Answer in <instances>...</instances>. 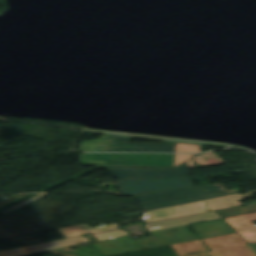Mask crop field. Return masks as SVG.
I'll return each instance as SVG.
<instances>
[{
	"label": "crop field",
	"instance_id": "crop-field-12",
	"mask_svg": "<svg viewBox=\"0 0 256 256\" xmlns=\"http://www.w3.org/2000/svg\"><path fill=\"white\" fill-rule=\"evenodd\" d=\"M198 145H184L178 144L176 152H199Z\"/></svg>",
	"mask_w": 256,
	"mask_h": 256
},
{
	"label": "crop field",
	"instance_id": "crop-field-11",
	"mask_svg": "<svg viewBox=\"0 0 256 256\" xmlns=\"http://www.w3.org/2000/svg\"><path fill=\"white\" fill-rule=\"evenodd\" d=\"M46 195H47V194H38V195H36V196H34V197H32V198L26 200V201H23V202H21V203L15 205V206H13V207H10V208H8V209H6V210L0 212V214H2V215L9 214V213H11V212H13V211H15V210H17V209H19V208H21V207L27 205V204H30V203H32V202H34V201H36V200H38V199H40V198L46 196Z\"/></svg>",
	"mask_w": 256,
	"mask_h": 256
},
{
	"label": "crop field",
	"instance_id": "crop-field-14",
	"mask_svg": "<svg viewBox=\"0 0 256 256\" xmlns=\"http://www.w3.org/2000/svg\"><path fill=\"white\" fill-rule=\"evenodd\" d=\"M24 196H26V195H16V196H13V197H11V198H8V199H6V200L0 202V207H1V206H4V205H7V204H9V203H11V202H13V201H15V200L21 198V197H24Z\"/></svg>",
	"mask_w": 256,
	"mask_h": 256
},
{
	"label": "crop field",
	"instance_id": "crop-field-5",
	"mask_svg": "<svg viewBox=\"0 0 256 256\" xmlns=\"http://www.w3.org/2000/svg\"><path fill=\"white\" fill-rule=\"evenodd\" d=\"M109 172L118 180L190 177L186 164L175 169L111 168Z\"/></svg>",
	"mask_w": 256,
	"mask_h": 256
},
{
	"label": "crop field",
	"instance_id": "crop-field-3",
	"mask_svg": "<svg viewBox=\"0 0 256 256\" xmlns=\"http://www.w3.org/2000/svg\"><path fill=\"white\" fill-rule=\"evenodd\" d=\"M80 160L82 165L174 167L175 155L91 153Z\"/></svg>",
	"mask_w": 256,
	"mask_h": 256
},
{
	"label": "crop field",
	"instance_id": "crop-field-6",
	"mask_svg": "<svg viewBox=\"0 0 256 256\" xmlns=\"http://www.w3.org/2000/svg\"><path fill=\"white\" fill-rule=\"evenodd\" d=\"M124 195L193 185L190 178L118 181Z\"/></svg>",
	"mask_w": 256,
	"mask_h": 256
},
{
	"label": "crop field",
	"instance_id": "crop-field-2",
	"mask_svg": "<svg viewBox=\"0 0 256 256\" xmlns=\"http://www.w3.org/2000/svg\"><path fill=\"white\" fill-rule=\"evenodd\" d=\"M150 235L149 238L137 241L128 237L122 239L125 243L118 239L97 243L96 245L105 256H110L194 240L186 226L151 232Z\"/></svg>",
	"mask_w": 256,
	"mask_h": 256
},
{
	"label": "crop field",
	"instance_id": "crop-field-7",
	"mask_svg": "<svg viewBox=\"0 0 256 256\" xmlns=\"http://www.w3.org/2000/svg\"><path fill=\"white\" fill-rule=\"evenodd\" d=\"M206 206L204 200L193 202L185 205H180L176 207L171 208H165L155 211H149L146 213V216L144 218L145 223L154 222L158 220L173 218V217H179L194 213H200L205 212Z\"/></svg>",
	"mask_w": 256,
	"mask_h": 256
},
{
	"label": "crop field",
	"instance_id": "crop-field-16",
	"mask_svg": "<svg viewBox=\"0 0 256 256\" xmlns=\"http://www.w3.org/2000/svg\"><path fill=\"white\" fill-rule=\"evenodd\" d=\"M252 246L256 249V244H253Z\"/></svg>",
	"mask_w": 256,
	"mask_h": 256
},
{
	"label": "crop field",
	"instance_id": "crop-field-10",
	"mask_svg": "<svg viewBox=\"0 0 256 256\" xmlns=\"http://www.w3.org/2000/svg\"><path fill=\"white\" fill-rule=\"evenodd\" d=\"M116 228H120V227L117 224H114V225L91 229L88 224H84V225H77V226L60 229V231L66 238H69V237H74L78 235H83L84 233H94V232L105 231V230L116 229Z\"/></svg>",
	"mask_w": 256,
	"mask_h": 256
},
{
	"label": "crop field",
	"instance_id": "crop-field-9",
	"mask_svg": "<svg viewBox=\"0 0 256 256\" xmlns=\"http://www.w3.org/2000/svg\"><path fill=\"white\" fill-rule=\"evenodd\" d=\"M256 193V191L248 192L246 195H230V196H225V197H219V198H214V199H208L207 205L209 211L211 210H218L226 207H234V206H239L241 203L236 202V200H241V199H248L252 198L250 194ZM232 200V202H230Z\"/></svg>",
	"mask_w": 256,
	"mask_h": 256
},
{
	"label": "crop field",
	"instance_id": "crop-field-13",
	"mask_svg": "<svg viewBox=\"0 0 256 256\" xmlns=\"http://www.w3.org/2000/svg\"><path fill=\"white\" fill-rule=\"evenodd\" d=\"M92 141H130V138L106 135V136L101 137L98 140H92Z\"/></svg>",
	"mask_w": 256,
	"mask_h": 256
},
{
	"label": "crop field",
	"instance_id": "crop-field-1",
	"mask_svg": "<svg viewBox=\"0 0 256 256\" xmlns=\"http://www.w3.org/2000/svg\"><path fill=\"white\" fill-rule=\"evenodd\" d=\"M204 190L206 199L240 192V189L226 191L224 184L205 185ZM128 196H132L140 202L145 211L176 206L204 199L201 186H190Z\"/></svg>",
	"mask_w": 256,
	"mask_h": 256
},
{
	"label": "crop field",
	"instance_id": "crop-field-8",
	"mask_svg": "<svg viewBox=\"0 0 256 256\" xmlns=\"http://www.w3.org/2000/svg\"><path fill=\"white\" fill-rule=\"evenodd\" d=\"M200 238L234 233L223 220L191 225Z\"/></svg>",
	"mask_w": 256,
	"mask_h": 256
},
{
	"label": "crop field",
	"instance_id": "crop-field-15",
	"mask_svg": "<svg viewBox=\"0 0 256 256\" xmlns=\"http://www.w3.org/2000/svg\"><path fill=\"white\" fill-rule=\"evenodd\" d=\"M190 158H192V155H176V165Z\"/></svg>",
	"mask_w": 256,
	"mask_h": 256
},
{
	"label": "crop field",
	"instance_id": "crop-field-4",
	"mask_svg": "<svg viewBox=\"0 0 256 256\" xmlns=\"http://www.w3.org/2000/svg\"><path fill=\"white\" fill-rule=\"evenodd\" d=\"M176 144H129V142H82L81 151L175 152Z\"/></svg>",
	"mask_w": 256,
	"mask_h": 256
}]
</instances>
